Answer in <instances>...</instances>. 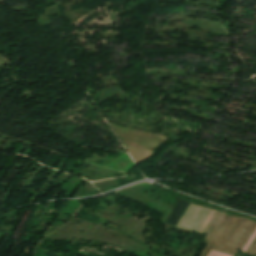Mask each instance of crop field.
Returning a JSON list of instances; mask_svg holds the SVG:
<instances>
[{
	"instance_id": "obj_1",
	"label": "crop field",
	"mask_w": 256,
	"mask_h": 256,
	"mask_svg": "<svg viewBox=\"0 0 256 256\" xmlns=\"http://www.w3.org/2000/svg\"><path fill=\"white\" fill-rule=\"evenodd\" d=\"M216 212L211 211L210 215L208 216L206 222L204 223L203 227L201 228L200 232H204V230L206 229L207 225L209 224V222L211 221V219L213 218V216L215 215ZM199 232V231H198Z\"/></svg>"
}]
</instances>
